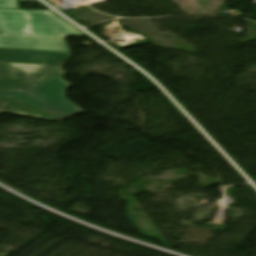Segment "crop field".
<instances>
[{
    "instance_id": "obj_1",
    "label": "crop field",
    "mask_w": 256,
    "mask_h": 256,
    "mask_svg": "<svg viewBox=\"0 0 256 256\" xmlns=\"http://www.w3.org/2000/svg\"><path fill=\"white\" fill-rule=\"evenodd\" d=\"M0 48L70 53L64 36H85L50 11L0 9Z\"/></svg>"
},
{
    "instance_id": "obj_2",
    "label": "crop field",
    "mask_w": 256,
    "mask_h": 256,
    "mask_svg": "<svg viewBox=\"0 0 256 256\" xmlns=\"http://www.w3.org/2000/svg\"><path fill=\"white\" fill-rule=\"evenodd\" d=\"M64 74L58 69L23 92L0 90V99L15 96L58 122L85 113L66 99L65 91L72 85L63 81Z\"/></svg>"
},
{
    "instance_id": "obj_3",
    "label": "crop field",
    "mask_w": 256,
    "mask_h": 256,
    "mask_svg": "<svg viewBox=\"0 0 256 256\" xmlns=\"http://www.w3.org/2000/svg\"><path fill=\"white\" fill-rule=\"evenodd\" d=\"M59 67L0 63V89L23 91Z\"/></svg>"
},
{
    "instance_id": "obj_4",
    "label": "crop field",
    "mask_w": 256,
    "mask_h": 256,
    "mask_svg": "<svg viewBox=\"0 0 256 256\" xmlns=\"http://www.w3.org/2000/svg\"><path fill=\"white\" fill-rule=\"evenodd\" d=\"M70 54L0 49V62L61 66Z\"/></svg>"
},
{
    "instance_id": "obj_5",
    "label": "crop field",
    "mask_w": 256,
    "mask_h": 256,
    "mask_svg": "<svg viewBox=\"0 0 256 256\" xmlns=\"http://www.w3.org/2000/svg\"><path fill=\"white\" fill-rule=\"evenodd\" d=\"M14 106L17 108L13 109ZM3 112L55 121L15 97L0 101V114Z\"/></svg>"
},
{
    "instance_id": "obj_6",
    "label": "crop field",
    "mask_w": 256,
    "mask_h": 256,
    "mask_svg": "<svg viewBox=\"0 0 256 256\" xmlns=\"http://www.w3.org/2000/svg\"><path fill=\"white\" fill-rule=\"evenodd\" d=\"M0 8L19 9L17 0H0Z\"/></svg>"
},
{
    "instance_id": "obj_7",
    "label": "crop field",
    "mask_w": 256,
    "mask_h": 256,
    "mask_svg": "<svg viewBox=\"0 0 256 256\" xmlns=\"http://www.w3.org/2000/svg\"><path fill=\"white\" fill-rule=\"evenodd\" d=\"M19 1H21V2H31V3H37V2H35L34 0H19Z\"/></svg>"
},
{
    "instance_id": "obj_8",
    "label": "crop field",
    "mask_w": 256,
    "mask_h": 256,
    "mask_svg": "<svg viewBox=\"0 0 256 256\" xmlns=\"http://www.w3.org/2000/svg\"><path fill=\"white\" fill-rule=\"evenodd\" d=\"M1 33V32H0Z\"/></svg>"
}]
</instances>
